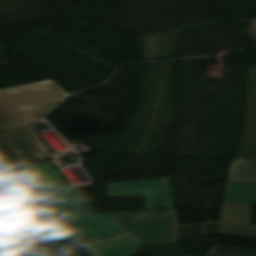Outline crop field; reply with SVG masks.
<instances>
[{"label": "crop field", "instance_id": "obj_6", "mask_svg": "<svg viewBox=\"0 0 256 256\" xmlns=\"http://www.w3.org/2000/svg\"><path fill=\"white\" fill-rule=\"evenodd\" d=\"M0 151L13 166L45 161L47 154L30 125L0 130Z\"/></svg>", "mask_w": 256, "mask_h": 256}, {"label": "crop field", "instance_id": "obj_8", "mask_svg": "<svg viewBox=\"0 0 256 256\" xmlns=\"http://www.w3.org/2000/svg\"><path fill=\"white\" fill-rule=\"evenodd\" d=\"M142 244V241L127 231L80 245L90 256H133Z\"/></svg>", "mask_w": 256, "mask_h": 256}, {"label": "crop field", "instance_id": "obj_16", "mask_svg": "<svg viewBox=\"0 0 256 256\" xmlns=\"http://www.w3.org/2000/svg\"><path fill=\"white\" fill-rule=\"evenodd\" d=\"M0 162H3V160H2V158H1V156H0Z\"/></svg>", "mask_w": 256, "mask_h": 256}, {"label": "crop field", "instance_id": "obj_7", "mask_svg": "<svg viewBox=\"0 0 256 256\" xmlns=\"http://www.w3.org/2000/svg\"><path fill=\"white\" fill-rule=\"evenodd\" d=\"M170 180L109 184L108 197L142 196L146 209L174 208ZM170 185V187H166ZM169 190V192H164ZM166 193H170V196Z\"/></svg>", "mask_w": 256, "mask_h": 256}, {"label": "crop field", "instance_id": "obj_10", "mask_svg": "<svg viewBox=\"0 0 256 256\" xmlns=\"http://www.w3.org/2000/svg\"><path fill=\"white\" fill-rule=\"evenodd\" d=\"M4 169L0 166V219L37 227L44 218L19 212L20 196L3 182Z\"/></svg>", "mask_w": 256, "mask_h": 256}, {"label": "crop field", "instance_id": "obj_2", "mask_svg": "<svg viewBox=\"0 0 256 256\" xmlns=\"http://www.w3.org/2000/svg\"><path fill=\"white\" fill-rule=\"evenodd\" d=\"M67 95L54 82L0 90V128L39 121Z\"/></svg>", "mask_w": 256, "mask_h": 256}, {"label": "crop field", "instance_id": "obj_1", "mask_svg": "<svg viewBox=\"0 0 256 256\" xmlns=\"http://www.w3.org/2000/svg\"><path fill=\"white\" fill-rule=\"evenodd\" d=\"M25 173L11 177L13 184L27 196L31 210L56 219L91 214L77 191L68 189L57 170L47 163L25 166Z\"/></svg>", "mask_w": 256, "mask_h": 256}, {"label": "crop field", "instance_id": "obj_3", "mask_svg": "<svg viewBox=\"0 0 256 256\" xmlns=\"http://www.w3.org/2000/svg\"><path fill=\"white\" fill-rule=\"evenodd\" d=\"M66 229L72 233L63 232ZM122 231H126V228L102 214L51 221L42 229L41 234L56 240L79 243L81 239L88 241Z\"/></svg>", "mask_w": 256, "mask_h": 256}, {"label": "crop field", "instance_id": "obj_9", "mask_svg": "<svg viewBox=\"0 0 256 256\" xmlns=\"http://www.w3.org/2000/svg\"><path fill=\"white\" fill-rule=\"evenodd\" d=\"M236 158L256 160V66L248 67L246 128Z\"/></svg>", "mask_w": 256, "mask_h": 256}, {"label": "crop field", "instance_id": "obj_11", "mask_svg": "<svg viewBox=\"0 0 256 256\" xmlns=\"http://www.w3.org/2000/svg\"><path fill=\"white\" fill-rule=\"evenodd\" d=\"M224 201L256 203V183L228 181Z\"/></svg>", "mask_w": 256, "mask_h": 256}, {"label": "crop field", "instance_id": "obj_4", "mask_svg": "<svg viewBox=\"0 0 256 256\" xmlns=\"http://www.w3.org/2000/svg\"><path fill=\"white\" fill-rule=\"evenodd\" d=\"M108 215L144 242L176 241L178 239L176 210Z\"/></svg>", "mask_w": 256, "mask_h": 256}, {"label": "crop field", "instance_id": "obj_13", "mask_svg": "<svg viewBox=\"0 0 256 256\" xmlns=\"http://www.w3.org/2000/svg\"><path fill=\"white\" fill-rule=\"evenodd\" d=\"M229 180L256 181V161L235 159Z\"/></svg>", "mask_w": 256, "mask_h": 256}, {"label": "crop field", "instance_id": "obj_15", "mask_svg": "<svg viewBox=\"0 0 256 256\" xmlns=\"http://www.w3.org/2000/svg\"><path fill=\"white\" fill-rule=\"evenodd\" d=\"M218 233L256 237V227L220 224Z\"/></svg>", "mask_w": 256, "mask_h": 256}, {"label": "crop field", "instance_id": "obj_14", "mask_svg": "<svg viewBox=\"0 0 256 256\" xmlns=\"http://www.w3.org/2000/svg\"><path fill=\"white\" fill-rule=\"evenodd\" d=\"M207 256H256V250L216 246Z\"/></svg>", "mask_w": 256, "mask_h": 256}, {"label": "crop field", "instance_id": "obj_12", "mask_svg": "<svg viewBox=\"0 0 256 256\" xmlns=\"http://www.w3.org/2000/svg\"><path fill=\"white\" fill-rule=\"evenodd\" d=\"M219 222L251 225L250 204L223 202Z\"/></svg>", "mask_w": 256, "mask_h": 256}, {"label": "crop field", "instance_id": "obj_5", "mask_svg": "<svg viewBox=\"0 0 256 256\" xmlns=\"http://www.w3.org/2000/svg\"><path fill=\"white\" fill-rule=\"evenodd\" d=\"M7 226L8 222L0 220V256H72L75 252L71 246L51 244L36 237L4 239L12 237L6 232ZM34 231L33 227L18 224L17 236L34 235Z\"/></svg>", "mask_w": 256, "mask_h": 256}]
</instances>
